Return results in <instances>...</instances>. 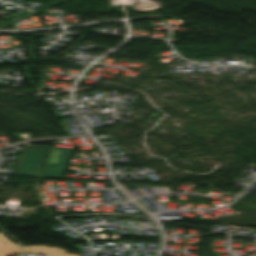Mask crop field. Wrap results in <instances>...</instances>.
<instances>
[{"label": "crop field", "instance_id": "obj_1", "mask_svg": "<svg viewBox=\"0 0 256 256\" xmlns=\"http://www.w3.org/2000/svg\"><path fill=\"white\" fill-rule=\"evenodd\" d=\"M48 148L26 146L13 174L61 179L73 149L52 147L45 158Z\"/></svg>", "mask_w": 256, "mask_h": 256}, {"label": "crop field", "instance_id": "obj_2", "mask_svg": "<svg viewBox=\"0 0 256 256\" xmlns=\"http://www.w3.org/2000/svg\"><path fill=\"white\" fill-rule=\"evenodd\" d=\"M26 253L44 252L46 256H79L66 253L59 247H48L47 245L23 246Z\"/></svg>", "mask_w": 256, "mask_h": 256}, {"label": "crop field", "instance_id": "obj_3", "mask_svg": "<svg viewBox=\"0 0 256 256\" xmlns=\"http://www.w3.org/2000/svg\"><path fill=\"white\" fill-rule=\"evenodd\" d=\"M22 253L18 244L10 241L0 232V256H9Z\"/></svg>", "mask_w": 256, "mask_h": 256}]
</instances>
